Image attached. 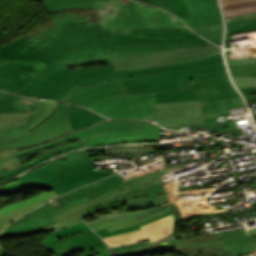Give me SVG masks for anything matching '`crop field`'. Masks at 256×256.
Segmentation results:
<instances>
[{
	"mask_svg": "<svg viewBox=\"0 0 256 256\" xmlns=\"http://www.w3.org/2000/svg\"><path fill=\"white\" fill-rule=\"evenodd\" d=\"M50 16V15H49ZM50 62L69 61V66L107 61L111 57L159 50L209 45L206 40L108 46L99 21L71 13L51 15L25 34ZM212 44V43H210Z\"/></svg>",
	"mask_w": 256,
	"mask_h": 256,
	"instance_id": "obj_1",
	"label": "crop field"
},
{
	"mask_svg": "<svg viewBox=\"0 0 256 256\" xmlns=\"http://www.w3.org/2000/svg\"><path fill=\"white\" fill-rule=\"evenodd\" d=\"M114 174L95 170L87 151L71 153L34 169L19 181L0 188V197L37 188L54 190L58 195Z\"/></svg>",
	"mask_w": 256,
	"mask_h": 256,
	"instance_id": "obj_2",
	"label": "crop field"
},
{
	"mask_svg": "<svg viewBox=\"0 0 256 256\" xmlns=\"http://www.w3.org/2000/svg\"><path fill=\"white\" fill-rule=\"evenodd\" d=\"M94 10L104 29L185 25L157 7L131 0H95Z\"/></svg>",
	"mask_w": 256,
	"mask_h": 256,
	"instance_id": "obj_3",
	"label": "crop field"
},
{
	"mask_svg": "<svg viewBox=\"0 0 256 256\" xmlns=\"http://www.w3.org/2000/svg\"><path fill=\"white\" fill-rule=\"evenodd\" d=\"M49 63L25 36L0 48V90H21Z\"/></svg>",
	"mask_w": 256,
	"mask_h": 256,
	"instance_id": "obj_4",
	"label": "crop field"
},
{
	"mask_svg": "<svg viewBox=\"0 0 256 256\" xmlns=\"http://www.w3.org/2000/svg\"><path fill=\"white\" fill-rule=\"evenodd\" d=\"M193 99H198L194 90L135 94L104 99L89 109L108 118L154 120L155 103Z\"/></svg>",
	"mask_w": 256,
	"mask_h": 256,
	"instance_id": "obj_5",
	"label": "crop field"
},
{
	"mask_svg": "<svg viewBox=\"0 0 256 256\" xmlns=\"http://www.w3.org/2000/svg\"><path fill=\"white\" fill-rule=\"evenodd\" d=\"M160 127L141 121L112 120L68 134L70 140L81 138L85 147L157 141Z\"/></svg>",
	"mask_w": 256,
	"mask_h": 256,
	"instance_id": "obj_6",
	"label": "crop field"
},
{
	"mask_svg": "<svg viewBox=\"0 0 256 256\" xmlns=\"http://www.w3.org/2000/svg\"><path fill=\"white\" fill-rule=\"evenodd\" d=\"M221 62L223 61L221 59V55L219 54V55H215L207 58L181 62L176 64H170L165 66L153 67V68H146V69L114 72L113 65H111V66H103V67H95V68L70 70V74L77 86H84V85L101 83L103 82V80H106V82L114 81L117 78L151 75V74H157V73H162L167 71L215 64V63H221Z\"/></svg>",
	"mask_w": 256,
	"mask_h": 256,
	"instance_id": "obj_7",
	"label": "crop field"
},
{
	"mask_svg": "<svg viewBox=\"0 0 256 256\" xmlns=\"http://www.w3.org/2000/svg\"><path fill=\"white\" fill-rule=\"evenodd\" d=\"M220 48L210 45L170 51H159L112 58L115 70L138 69L176 63L218 54Z\"/></svg>",
	"mask_w": 256,
	"mask_h": 256,
	"instance_id": "obj_8",
	"label": "crop field"
},
{
	"mask_svg": "<svg viewBox=\"0 0 256 256\" xmlns=\"http://www.w3.org/2000/svg\"><path fill=\"white\" fill-rule=\"evenodd\" d=\"M104 31L109 45L203 39L186 26Z\"/></svg>",
	"mask_w": 256,
	"mask_h": 256,
	"instance_id": "obj_9",
	"label": "crop field"
},
{
	"mask_svg": "<svg viewBox=\"0 0 256 256\" xmlns=\"http://www.w3.org/2000/svg\"><path fill=\"white\" fill-rule=\"evenodd\" d=\"M168 202L163 184L135 193H127L116 197L108 202L86 207L92 217L108 215L121 211L133 210L137 208L152 206ZM102 212V214L94 213Z\"/></svg>",
	"mask_w": 256,
	"mask_h": 256,
	"instance_id": "obj_10",
	"label": "crop field"
},
{
	"mask_svg": "<svg viewBox=\"0 0 256 256\" xmlns=\"http://www.w3.org/2000/svg\"><path fill=\"white\" fill-rule=\"evenodd\" d=\"M68 62L50 63L32 82L16 94L52 99L70 81Z\"/></svg>",
	"mask_w": 256,
	"mask_h": 256,
	"instance_id": "obj_11",
	"label": "crop field"
},
{
	"mask_svg": "<svg viewBox=\"0 0 256 256\" xmlns=\"http://www.w3.org/2000/svg\"><path fill=\"white\" fill-rule=\"evenodd\" d=\"M72 108V105L60 103L55 113L35 128L38 133L4 144L0 146V149L23 148L72 132L73 130L69 122V115Z\"/></svg>",
	"mask_w": 256,
	"mask_h": 256,
	"instance_id": "obj_12",
	"label": "crop field"
},
{
	"mask_svg": "<svg viewBox=\"0 0 256 256\" xmlns=\"http://www.w3.org/2000/svg\"><path fill=\"white\" fill-rule=\"evenodd\" d=\"M204 122L198 100L157 104L156 123L163 127Z\"/></svg>",
	"mask_w": 256,
	"mask_h": 256,
	"instance_id": "obj_13",
	"label": "crop field"
},
{
	"mask_svg": "<svg viewBox=\"0 0 256 256\" xmlns=\"http://www.w3.org/2000/svg\"><path fill=\"white\" fill-rule=\"evenodd\" d=\"M193 82L194 85L180 87L182 90L195 89L200 102L240 97L232 88L226 72L201 75Z\"/></svg>",
	"mask_w": 256,
	"mask_h": 256,
	"instance_id": "obj_14",
	"label": "crop field"
},
{
	"mask_svg": "<svg viewBox=\"0 0 256 256\" xmlns=\"http://www.w3.org/2000/svg\"><path fill=\"white\" fill-rule=\"evenodd\" d=\"M127 95L123 80L118 79L114 82H107L85 87L76 85L59 101L89 107L104 98L111 96Z\"/></svg>",
	"mask_w": 256,
	"mask_h": 256,
	"instance_id": "obj_15",
	"label": "crop field"
},
{
	"mask_svg": "<svg viewBox=\"0 0 256 256\" xmlns=\"http://www.w3.org/2000/svg\"><path fill=\"white\" fill-rule=\"evenodd\" d=\"M141 228L142 229L138 231L104 238L103 240L110 246H119L127 243L139 242L148 238L151 240L149 242L162 239L168 235L173 234V214L154 222L145 224L141 226Z\"/></svg>",
	"mask_w": 256,
	"mask_h": 256,
	"instance_id": "obj_16",
	"label": "crop field"
},
{
	"mask_svg": "<svg viewBox=\"0 0 256 256\" xmlns=\"http://www.w3.org/2000/svg\"><path fill=\"white\" fill-rule=\"evenodd\" d=\"M192 17L182 20L191 28L221 23L217 0H183Z\"/></svg>",
	"mask_w": 256,
	"mask_h": 256,
	"instance_id": "obj_17",
	"label": "crop field"
},
{
	"mask_svg": "<svg viewBox=\"0 0 256 256\" xmlns=\"http://www.w3.org/2000/svg\"><path fill=\"white\" fill-rule=\"evenodd\" d=\"M104 242L92 231L78 234L66 239L47 243L45 249L54 254H69L77 250H85L91 246H101Z\"/></svg>",
	"mask_w": 256,
	"mask_h": 256,
	"instance_id": "obj_18",
	"label": "crop field"
},
{
	"mask_svg": "<svg viewBox=\"0 0 256 256\" xmlns=\"http://www.w3.org/2000/svg\"><path fill=\"white\" fill-rule=\"evenodd\" d=\"M57 196L52 192H44L28 199L22 200L15 204H12L4 209L0 210V232L10 222L18 218L19 216L39 207L48 199Z\"/></svg>",
	"mask_w": 256,
	"mask_h": 256,
	"instance_id": "obj_19",
	"label": "crop field"
},
{
	"mask_svg": "<svg viewBox=\"0 0 256 256\" xmlns=\"http://www.w3.org/2000/svg\"><path fill=\"white\" fill-rule=\"evenodd\" d=\"M217 236L224 249L232 250L234 256L256 250L255 245L251 242L256 241V235L247 236L245 230L220 233Z\"/></svg>",
	"mask_w": 256,
	"mask_h": 256,
	"instance_id": "obj_20",
	"label": "crop field"
},
{
	"mask_svg": "<svg viewBox=\"0 0 256 256\" xmlns=\"http://www.w3.org/2000/svg\"><path fill=\"white\" fill-rule=\"evenodd\" d=\"M170 243V247H187V246H221L220 242L218 239H213V240H207V241H196V242H184V243H178L177 238L168 240ZM155 243H150L147 245L139 246V247H134V248H129V249H124V250H118V251H111L110 248L106 249L105 251L111 255V256H139V255H145V254H151V253H157V252H163V251H169V248H153L146 250L144 252L140 253H135V254H119L122 252H133L137 251L139 249H142L146 246L153 245Z\"/></svg>",
	"mask_w": 256,
	"mask_h": 256,
	"instance_id": "obj_21",
	"label": "crop field"
},
{
	"mask_svg": "<svg viewBox=\"0 0 256 256\" xmlns=\"http://www.w3.org/2000/svg\"><path fill=\"white\" fill-rule=\"evenodd\" d=\"M40 102L38 99L26 98L0 92V113L29 112Z\"/></svg>",
	"mask_w": 256,
	"mask_h": 256,
	"instance_id": "obj_22",
	"label": "crop field"
},
{
	"mask_svg": "<svg viewBox=\"0 0 256 256\" xmlns=\"http://www.w3.org/2000/svg\"><path fill=\"white\" fill-rule=\"evenodd\" d=\"M80 147H84L83 143L80 142V143H76V144H73V145H68L67 143L64 144V146H61V147H54L55 149L43 154V156L41 157H38L36 158L34 161L30 162V163H27L23 166H20L18 168H15L13 170H5L3 172L0 173V183L6 181L7 179H9L10 177L42 162V161H45L51 157H54L55 155L59 154V153H62V152H67V151H70L72 149H76V148H80Z\"/></svg>",
	"mask_w": 256,
	"mask_h": 256,
	"instance_id": "obj_23",
	"label": "crop field"
},
{
	"mask_svg": "<svg viewBox=\"0 0 256 256\" xmlns=\"http://www.w3.org/2000/svg\"><path fill=\"white\" fill-rule=\"evenodd\" d=\"M58 105V102L42 100L40 104L37 106V108L34 110L28 122L23 126H25L30 131L33 130L41 122H43L50 115H52Z\"/></svg>",
	"mask_w": 256,
	"mask_h": 256,
	"instance_id": "obj_24",
	"label": "crop field"
},
{
	"mask_svg": "<svg viewBox=\"0 0 256 256\" xmlns=\"http://www.w3.org/2000/svg\"><path fill=\"white\" fill-rule=\"evenodd\" d=\"M41 4L53 14L69 8H93L94 0H43Z\"/></svg>",
	"mask_w": 256,
	"mask_h": 256,
	"instance_id": "obj_25",
	"label": "crop field"
},
{
	"mask_svg": "<svg viewBox=\"0 0 256 256\" xmlns=\"http://www.w3.org/2000/svg\"><path fill=\"white\" fill-rule=\"evenodd\" d=\"M170 252L184 256H233L231 251H224L222 247L170 248Z\"/></svg>",
	"mask_w": 256,
	"mask_h": 256,
	"instance_id": "obj_26",
	"label": "crop field"
},
{
	"mask_svg": "<svg viewBox=\"0 0 256 256\" xmlns=\"http://www.w3.org/2000/svg\"><path fill=\"white\" fill-rule=\"evenodd\" d=\"M68 140H69V138L67 137V135H65V136H61L59 138H56L54 140H51L49 142L38 144V145L29 147V148H25V149L2 150V151H0V162H2L4 160H7L9 158L15 157V156L19 157V156H22L24 154L32 153V152L37 151V150L51 148V147H54L58 144H62L64 142L68 141Z\"/></svg>",
	"mask_w": 256,
	"mask_h": 256,
	"instance_id": "obj_27",
	"label": "crop field"
},
{
	"mask_svg": "<svg viewBox=\"0 0 256 256\" xmlns=\"http://www.w3.org/2000/svg\"><path fill=\"white\" fill-rule=\"evenodd\" d=\"M170 211L171 210L169 208H167L165 210H162L160 212H157L155 214H152L150 216H147V217L142 218V219L137 220V221H135L134 217L131 216V217H126V218H121V219L105 222V223H102V224H99V225L92 226L91 228L94 231L98 230V229H101V228H106L109 231L117 230V229L124 228V227H127V226H131V225H134V224H140L144 221H147L151 218H154L156 216L162 215V214L170 212Z\"/></svg>",
	"mask_w": 256,
	"mask_h": 256,
	"instance_id": "obj_28",
	"label": "crop field"
},
{
	"mask_svg": "<svg viewBox=\"0 0 256 256\" xmlns=\"http://www.w3.org/2000/svg\"><path fill=\"white\" fill-rule=\"evenodd\" d=\"M144 3L159 6L175 16L182 18L191 16L182 0H137Z\"/></svg>",
	"mask_w": 256,
	"mask_h": 256,
	"instance_id": "obj_29",
	"label": "crop field"
},
{
	"mask_svg": "<svg viewBox=\"0 0 256 256\" xmlns=\"http://www.w3.org/2000/svg\"><path fill=\"white\" fill-rule=\"evenodd\" d=\"M167 207H168L167 204H164V205L146 208V209H142V210L125 212V213H120V214L110 215V216H104V217H100L98 219L89 221V222H87V224L89 226H91V225H95V224L102 223L105 221H109V220H113V219H117V218H121V217H126V216H131V215H134L135 219L137 220L139 218L145 217L147 215H150L152 213H155V212L165 209Z\"/></svg>",
	"mask_w": 256,
	"mask_h": 256,
	"instance_id": "obj_30",
	"label": "crop field"
},
{
	"mask_svg": "<svg viewBox=\"0 0 256 256\" xmlns=\"http://www.w3.org/2000/svg\"><path fill=\"white\" fill-rule=\"evenodd\" d=\"M87 230H90V228L84 223V221H81L73 225H70L68 227H65L63 229L55 231L45 239L44 244L47 242L65 238L71 235H76L78 233H81Z\"/></svg>",
	"mask_w": 256,
	"mask_h": 256,
	"instance_id": "obj_31",
	"label": "crop field"
},
{
	"mask_svg": "<svg viewBox=\"0 0 256 256\" xmlns=\"http://www.w3.org/2000/svg\"><path fill=\"white\" fill-rule=\"evenodd\" d=\"M34 133H36L35 130L30 132L23 126L11 127V128L0 130V145L34 134Z\"/></svg>",
	"mask_w": 256,
	"mask_h": 256,
	"instance_id": "obj_32",
	"label": "crop field"
},
{
	"mask_svg": "<svg viewBox=\"0 0 256 256\" xmlns=\"http://www.w3.org/2000/svg\"><path fill=\"white\" fill-rule=\"evenodd\" d=\"M194 31L215 44L221 43L222 24L206 26Z\"/></svg>",
	"mask_w": 256,
	"mask_h": 256,
	"instance_id": "obj_33",
	"label": "crop field"
},
{
	"mask_svg": "<svg viewBox=\"0 0 256 256\" xmlns=\"http://www.w3.org/2000/svg\"><path fill=\"white\" fill-rule=\"evenodd\" d=\"M31 113L0 114V129L8 126L24 124Z\"/></svg>",
	"mask_w": 256,
	"mask_h": 256,
	"instance_id": "obj_34",
	"label": "crop field"
},
{
	"mask_svg": "<svg viewBox=\"0 0 256 256\" xmlns=\"http://www.w3.org/2000/svg\"><path fill=\"white\" fill-rule=\"evenodd\" d=\"M256 63L255 59H245V60H236L230 61L229 66L234 65H244V64H254ZM233 79L238 87H245V86H256V78L252 77H242V76H233Z\"/></svg>",
	"mask_w": 256,
	"mask_h": 256,
	"instance_id": "obj_35",
	"label": "crop field"
},
{
	"mask_svg": "<svg viewBox=\"0 0 256 256\" xmlns=\"http://www.w3.org/2000/svg\"><path fill=\"white\" fill-rule=\"evenodd\" d=\"M88 215H90V214L88 213L87 210H85V211H83V212H81V213H79V214H77V215H75L71 218L65 219L63 221H60V222L55 223L53 225L47 226L45 228L37 229V232H40V231H43V230H50V229H59L61 227H64V226L69 225L71 223H74V222H76V221L80 220L81 218H84Z\"/></svg>",
	"mask_w": 256,
	"mask_h": 256,
	"instance_id": "obj_36",
	"label": "crop field"
},
{
	"mask_svg": "<svg viewBox=\"0 0 256 256\" xmlns=\"http://www.w3.org/2000/svg\"><path fill=\"white\" fill-rule=\"evenodd\" d=\"M172 213H173V212L167 213V214H165V215H162V216H159V217H157V218L151 219V220H149V221H147V222H144V223H142V224H145V223L151 222V221H153V220L162 218V217H164V216H166V215H168V214H172ZM142 224H140V225H142ZM140 225H135V226H132V227H128V228H124V229H121V230L113 231V232H110V233H109V231H107L106 229H101V230H98V231H96V232L100 235L101 238H104V237H108V236H112V235H116V234H120V233H124V232H129V231L141 229V228L139 227Z\"/></svg>",
	"mask_w": 256,
	"mask_h": 256,
	"instance_id": "obj_37",
	"label": "crop field"
},
{
	"mask_svg": "<svg viewBox=\"0 0 256 256\" xmlns=\"http://www.w3.org/2000/svg\"><path fill=\"white\" fill-rule=\"evenodd\" d=\"M230 68H231L233 75L256 77V64L255 65H245V66H235V67H230Z\"/></svg>",
	"mask_w": 256,
	"mask_h": 256,
	"instance_id": "obj_38",
	"label": "crop field"
},
{
	"mask_svg": "<svg viewBox=\"0 0 256 256\" xmlns=\"http://www.w3.org/2000/svg\"><path fill=\"white\" fill-rule=\"evenodd\" d=\"M106 154H117V153H145L144 146H128L112 148L111 150H105Z\"/></svg>",
	"mask_w": 256,
	"mask_h": 256,
	"instance_id": "obj_39",
	"label": "crop field"
},
{
	"mask_svg": "<svg viewBox=\"0 0 256 256\" xmlns=\"http://www.w3.org/2000/svg\"><path fill=\"white\" fill-rule=\"evenodd\" d=\"M224 12H225V16L226 17L243 15V14H249V13H255L256 12V6H250V7L226 10Z\"/></svg>",
	"mask_w": 256,
	"mask_h": 256,
	"instance_id": "obj_40",
	"label": "crop field"
},
{
	"mask_svg": "<svg viewBox=\"0 0 256 256\" xmlns=\"http://www.w3.org/2000/svg\"><path fill=\"white\" fill-rule=\"evenodd\" d=\"M105 248L92 247L78 256H109L105 251Z\"/></svg>",
	"mask_w": 256,
	"mask_h": 256,
	"instance_id": "obj_41",
	"label": "crop field"
},
{
	"mask_svg": "<svg viewBox=\"0 0 256 256\" xmlns=\"http://www.w3.org/2000/svg\"><path fill=\"white\" fill-rule=\"evenodd\" d=\"M73 80L61 91L59 92L52 100L58 101L62 96H64L73 86H74Z\"/></svg>",
	"mask_w": 256,
	"mask_h": 256,
	"instance_id": "obj_42",
	"label": "crop field"
},
{
	"mask_svg": "<svg viewBox=\"0 0 256 256\" xmlns=\"http://www.w3.org/2000/svg\"><path fill=\"white\" fill-rule=\"evenodd\" d=\"M250 5H256V0L255 1H249V2H243V3H237V4H232V5L224 6L223 9L226 10V9L250 6Z\"/></svg>",
	"mask_w": 256,
	"mask_h": 256,
	"instance_id": "obj_43",
	"label": "crop field"
},
{
	"mask_svg": "<svg viewBox=\"0 0 256 256\" xmlns=\"http://www.w3.org/2000/svg\"><path fill=\"white\" fill-rule=\"evenodd\" d=\"M241 92L244 94H256V87H245L240 88Z\"/></svg>",
	"mask_w": 256,
	"mask_h": 256,
	"instance_id": "obj_44",
	"label": "crop field"
},
{
	"mask_svg": "<svg viewBox=\"0 0 256 256\" xmlns=\"http://www.w3.org/2000/svg\"><path fill=\"white\" fill-rule=\"evenodd\" d=\"M143 244H146V243H134V244L124 245V246H119V247H113L111 249L113 251V250H117V249H124V248L139 246V245H143Z\"/></svg>",
	"mask_w": 256,
	"mask_h": 256,
	"instance_id": "obj_45",
	"label": "crop field"
},
{
	"mask_svg": "<svg viewBox=\"0 0 256 256\" xmlns=\"http://www.w3.org/2000/svg\"><path fill=\"white\" fill-rule=\"evenodd\" d=\"M243 1H249V0H221L222 5H228V4L243 2Z\"/></svg>",
	"mask_w": 256,
	"mask_h": 256,
	"instance_id": "obj_46",
	"label": "crop field"
},
{
	"mask_svg": "<svg viewBox=\"0 0 256 256\" xmlns=\"http://www.w3.org/2000/svg\"><path fill=\"white\" fill-rule=\"evenodd\" d=\"M37 1H39L41 3L42 0H37Z\"/></svg>",
	"mask_w": 256,
	"mask_h": 256,
	"instance_id": "obj_47",
	"label": "crop field"
}]
</instances>
